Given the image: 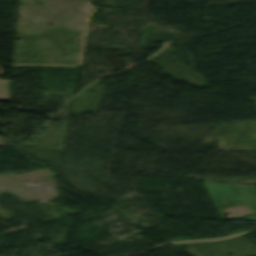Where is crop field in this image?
<instances>
[{
	"instance_id": "8a807250",
	"label": "crop field",
	"mask_w": 256,
	"mask_h": 256,
	"mask_svg": "<svg viewBox=\"0 0 256 256\" xmlns=\"http://www.w3.org/2000/svg\"><path fill=\"white\" fill-rule=\"evenodd\" d=\"M221 219L256 221L254 185L203 181Z\"/></svg>"
},
{
	"instance_id": "ac0d7876",
	"label": "crop field",
	"mask_w": 256,
	"mask_h": 256,
	"mask_svg": "<svg viewBox=\"0 0 256 256\" xmlns=\"http://www.w3.org/2000/svg\"><path fill=\"white\" fill-rule=\"evenodd\" d=\"M12 81L0 79V100H8Z\"/></svg>"
}]
</instances>
